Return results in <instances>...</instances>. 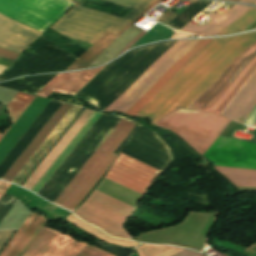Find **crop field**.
<instances>
[{"instance_id": "crop-field-30", "label": "crop field", "mask_w": 256, "mask_h": 256, "mask_svg": "<svg viewBox=\"0 0 256 256\" xmlns=\"http://www.w3.org/2000/svg\"><path fill=\"white\" fill-rule=\"evenodd\" d=\"M17 55H18V53H15V52H12V51L5 50V49H1V48H0V56H2V57L15 60V58L17 57Z\"/></svg>"}, {"instance_id": "crop-field-13", "label": "crop field", "mask_w": 256, "mask_h": 256, "mask_svg": "<svg viewBox=\"0 0 256 256\" xmlns=\"http://www.w3.org/2000/svg\"><path fill=\"white\" fill-rule=\"evenodd\" d=\"M82 106L73 105L64 118L59 122L43 144L38 148L22 170L13 179L12 183L20 185L21 182L26 178V176L31 172L35 165L40 161V159L45 155L49 148L54 144L58 137L63 133V131L68 127L72 120L77 116V114L82 110Z\"/></svg>"}, {"instance_id": "crop-field-7", "label": "crop field", "mask_w": 256, "mask_h": 256, "mask_svg": "<svg viewBox=\"0 0 256 256\" xmlns=\"http://www.w3.org/2000/svg\"><path fill=\"white\" fill-rule=\"evenodd\" d=\"M85 243L44 227L23 256H75ZM76 256H114L86 244Z\"/></svg>"}, {"instance_id": "crop-field-4", "label": "crop field", "mask_w": 256, "mask_h": 256, "mask_svg": "<svg viewBox=\"0 0 256 256\" xmlns=\"http://www.w3.org/2000/svg\"><path fill=\"white\" fill-rule=\"evenodd\" d=\"M136 122L122 118L115 129L87 160L75 178L56 199L54 204L70 211L79 205L88 192L117 158L113 153L135 127Z\"/></svg>"}, {"instance_id": "crop-field-5", "label": "crop field", "mask_w": 256, "mask_h": 256, "mask_svg": "<svg viewBox=\"0 0 256 256\" xmlns=\"http://www.w3.org/2000/svg\"><path fill=\"white\" fill-rule=\"evenodd\" d=\"M229 122L215 114L177 108L154 125L175 132L202 155Z\"/></svg>"}, {"instance_id": "crop-field-18", "label": "crop field", "mask_w": 256, "mask_h": 256, "mask_svg": "<svg viewBox=\"0 0 256 256\" xmlns=\"http://www.w3.org/2000/svg\"><path fill=\"white\" fill-rule=\"evenodd\" d=\"M256 51V43L244 52L204 93L189 109L201 111L202 108L214 97V95L225 85L231 75L242 65V63Z\"/></svg>"}, {"instance_id": "crop-field-37", "label": "crop field", "mask_w": 256, "mask_h": 256, "mask_svg": "<svg viewBox=\"0 0 256 256\" xmlns=\"http://www.w3.org/2000/svg\"><path fill=\"white\" fill-rule=\"evenodd\" d=\"M254 126H256V123H255V125Z\"/></svg>"}, {"instance_id": "crop-field-6", "label": "crop field", "mask_w": 256, "mask_h": 256, "mask_svg": "<svg viewBox=\"0 0 256 256\" xmlns=\"http://www.w3.org/2000/svg\"><path fill=\"white\" fill-rule=\"evenodd\" d=\"M200 40V39H199ZM199 40L178 41L156 60L121 96L104 112L119 111L125 113L142 95L189 49Z\"/></svg>"}, {"instance_id": "crop-field-31", "label": "crop field", "mask_w": 256, "mask_h": 256, "mask_svg": "<svg viewBox=\"0 0 256 256\" xmlns=\"http://www.w3.org/2000/svg\"><path fill=\"white\" fill-rule=\"evenodd\" d=\"M9 186L10 184L0 181V198Z\"/></svg>"}, {"instance_id": "crop-field-19", "label": "crop field", "mask_w": 256, "mask_h": 256, "mask_svg": "<svg viewBox=\"0 0 256 256\" xmlns=\"http://www.w3.org/2000/svg\"><path fill=\"white\" fill-rule=\"evenodd\" d=\"M140 32L141 30L131 26L108 46L88 67L97 66L113 59L121 49Z\"/></svg>"}, {"instance_id": "crop-field-36", "label": "crop field", "mask_w": 256, "mask_h": 256, "mask_svg": "<svg viewBox=\"0 0 256 256\" xmlns=\"http://www.w3.org/2000/svg\"><path fill=\"white\" fill-rule=\"evenodd\" d=\"M229 1H233V2H236L237 0H229Z\"/></svg>"}, {"instance_id": "crop-field-28", "label": "crop field", "mask_w": 256, "mask_h": 256, "mask_svg": "<svg viewBox=\"0 0 256 256\" xmlns=\"http://www.w3.org/2000/svg\"><path fill=\"white\" fill-rule=\"evenodd\" d=\"M15 230H1L0 231V250L14 233Z\"/></svg>"}, {"instance_id": "crop-field-17", "label": "crop field", "mask_w": 256, "mask_h": 256, "mask_svg": "<svg viewBox=\"0 0 256 256\" xmlns=\"http://www.w3.org/2000/svg\"><path fill=\"white\" fill-rule=\"evenodd\" d=\"M162 0H158L148 9H146L142 14H140L137 18L131 21L126 27H124L120 32L116 35L107 32L105 33L93 46H91L73 65H71L67 70L79 69L86 67L92 60H94L108 45H110L119 35H121L127 28H129L135 21H137L143 14L153 8ZM93 62V61H92ZM91 62V63H92ZM90 63V64H91ZM89 64V65H90ZM88 65V66H89ZM87 66V67H88Z\"/></svg>"}, {"instance_id": "crop-field-12", "label": "crop field", "mask_w": 256, "mask_h": 256, "mask_svg": "<svg viewBox=\"0 0 256 256\" xmlns=\"http://www.w3.org/2000/svg\"><path fill=\"white\" fill-rule=\"evenodd\" d=\"M251 7L241 6L233 4L228 9H226L220 15L216 13L210 14L208 17L211 19L207 24L201 23L197 27L188 24L181 31L196 34L200 37L203 36H216L220 33L226 26L248 11Z\"/></svg>"}, {"instance_id": "crop-field-1", "label": "crop field", "mask_w": 256, "mask_h": 256, "mask_svg": "<svg viewBox=\"0 0 256 256\" xmlns=\"http://www.w3.org/2000/svg\"><path fill=\"white\" fill-rule=\"evenodd\" d=\"M254 42L256 32L214 39L136 115L149 118L154 124L176 107L188 109Z\"/></svg>"}, {"instance_id": "crop-field-22", "label": "crop field", "mask_w": 256, "mask_h": 256, "mask_svg": "<svg viewBox=\"0 0 256 256\" xmlns=\"http://www.w3.org/2000/svg\"><path fill=\"white\" fill-rule=\"evenodd\" d=\"M65 219L70 221L72 224L82 228L83 230L89 232L90 234H92V235H94V236H96L100 239H103L107 242H110V243H114V244H118V245H122V246H126V247H136L140 244V243H135L131 240L118 239V238L108 236L105 233H103L101 230H99L98 228L93 227V226H91L87 223H84L83 221L78 219L72 213L68 217H66Z\"/></svg>"}, {"instance_id": "crop-field-26", "label": "crop field", "mask_w": 256, "mask_h": 256, "mask_svg": "<svg viewBox=\"0 0 256 256\" xmlns=\"http://www.w3.org/2000/svg\"><path fill=\"white\" fill-rule=\"evenodd\" d=\"M254 56H256V52L233 74V76L230 78V80L227 82V84L224 86V88L212 99V101L202 111H204V112L209 111V109L214 105V103L219 99V97L229 87V85L232 83V81L235 79V77L241 72V70L248 64V62Z\"/></svg>"}, {"instance_id": "crop-field-20", "label": "crop field", "mask_w": 256, "mask_h": 256, "mask_svg": "<svg viewBox=\"0 0 256 256\" xmlns=\"http://www.w3.org/2000/svg\"><path fill=\"white\" fill-rule=\"evenodd\" d=\"M237 187H256V170L213 166Z\"/></svg>"}, {"instance_id": "crop-field-32", "label": "crop field", "mask_w": 256, "mask_h": 256, "mask_svg": "<svg viewBox=\"0 0 256 256\" xmlns=\"http://www.w3.org/2000/svg\"><path fill=\"white\" fill-rule=\"evenodd\" d=\"M12 62H13V60H9V59L0 57V65H2V66L8 67Z\"/></svg>"}, {"instance_id": "crop-field-2", "label": "crop field", "mask_w": 256, "mask_h": 256, "mask_svg": "<svg viewBox=\"0 0 256 256\" xmlns=\"http://www.w3.org/2000/svg\"><path fill=\"white\" fill-rule=\"evenodd\" d=\"M74 4L66 0H0V13L41 33ZM0 14V47L22 53L41 33Z\"/></svg>"}, {"instance_id": "crop-field-23", "label": "crop field", "mask_w": 256, "mask_h": 256, "mask_svg": "<svg viewBox=\"0 0 256 256\" xmlns=\"http://www.w3.org/2000/svg\"><path fill=\"white\" fill-rule=\"evenodd\" d=\"M34 97L35 96L18 92L16 96L10 101V103L7 105V108L12 125L19 118V116L26 109V107L30 104V102L34 99ZM11 126L8 129H6L3 133L6 134L7 131L11 128Z\"/></svg>"}, {"instance_id": "crop-field-33", "label": "crop field", "mask_w": 256, "mask_h": 256, "mask_svg": "<svg viewBox=\"0 0 256 256\" xmlns=\"http://www.w3.org/2000/svg\"><path fill=\"white\" fill-rule=\"evenodd\" d=\"M186 36V34L176 32L171 38H186Z\"/></svg>"}, {"instance_id": "crop-field-29", "label": "crop field", "mask_w": 256, "mask_h": 256, "mask_svg": "<svg viewBox=\"0 0 256 256\" xmlns=\"http://www.w3.org/2000/svg\"><path fill=\"white\" fill-rule=\"evenodd\" d=\"M256 73V69L254 70V72L249 76V78L245 81V83L242 85V87L238 90V92L233 96V98L228 102V104L225 106V108L223 109L222 113L220 114L221 116L224 115V113L227 111V109L230 107V105L232 104V102L235 100V98L238 96V94L241 92V90L244 88V86L249 82V80L254 76V74Z\"/></svg>"}, {"instance_id": "crop-field-10", "label": "crop field", "mask_w": 256, "mask_h": 256, "mask_svg": "<svg viewBox=\"0 0 256 256\" xmlns=\"http://www.w3.org/2000/svg\"><path fill=\"white\" fill-rule=\"evenodd\" d=\"M45 225L44 216L32 211L0 256H22Z\"/></svg>"}, {"instance_id": "crop-field-21", "label": "crop field", "mask_w": 256, "mask_h": 256, "mask_svg": "<svg viewBox=\"0 0 256 256\" xmlns=\"http://www.w3.org/2000/svg\"><path fill=\"white\" fill-rule=\"evenodd\" d=\"M182 250L184 249H180L172 246H157V245H147V244H143L142 246L136 248V251L139 256H171ZM173 256H203V255L194 251L184 250Z\"/></svg>"}, {"instance_id": "crop-field-24", "label": "crop field", "mask_w": 256, "mask_h": 256, "mask_svg": "<svg viewBox=\"0 0 256 256\" xmlns=\"http://www.w3.org/2000/svg\"><path fill=\"white\" fill-rule=\"evenodd\" d=\"M256 22V9L252 8L228 27H226L219 35H228L232 33H236L243 29L240 32L245 31L249 28L253 23Z\"/></svg>"}, {"instance_id": "crop-field-35", "label": "crop field", "mask_w": 256, "mask_h": 256, "mask_svg": "<svg viewBox=\"0 0 256 256\" xmlns=\"http://www.w3.org/2000/svg\"><path fill=\"white\" fill-rule=\"evenodd\" d=\"M4 135H2L1 133H0V140H1V138L3 137Z\"/></svg>"}, {"instance_id": "crop-field-9", "label": "crop field", "mask_w": 256, "mask_h": 256, "mask_svg": "<svg viewBox=\"0 0 256 256\" xmlns=\"http://www.w3.org/2000/svg\"><path fill=\"white\" fill-rule=\"evenodd\" d=\"M119 154L106 177L144 195L160 172L121 153Z\"/></svg>"}, {"instance_id": "crop-field-3", "label": "crop field", "mask_w": 256, "mask_h": 256, "mask_svg": "<svg viewBox=\"0 0 256 256\" xmlns=\"http://www.w3.org/2000/svg\"><path fill=\"white\" fill-rule=\"evenodd\" d=\"M134 8L123 19L74 5L50 29L60 35L94 44L106 31L117 33L157 0H107Z\"/></svg>"}, {"instance_id": "crop-field-15", "label": "crop field", "mask_w": 256, "mask_h": 256, "mask_svg": "<svg viewBox=\"0 0 256 256\" xmlns=\"http://www.w3.org/2000/svg\"><path fill=\"white\" fill-rule=\"evenodd\" d=\"M212 39H204L198 42L188 51L176 64H174L165 75L130 109L126 114L135 115L144 105H146L163 87V85L190 59L200 52Z\"/></svg>"}, {"instance_id": "crop-field-27", "label": "crop field", "mask_w": 256, "mask_h": 256, "mask_svg": "<svg viewBox=\"0 0 256 256\" xmlns=\"http://www.w3.org/2000/svg\"><path fill=\"white\" fill-rule=\"evenodd\" d=\"M256 68V63L247 71V73L243 76V78L240 80V82L237 84V86L233 89V91L228 95V97L224 100V102L221 104L219 109L215 112V114H218L222 111L224 106L227 104V102L230 100V98L234 95V93L237 91V89L243 84V82L248 78V76L253 72V70Z\"/></svg>"}, {"instance_id": "crop-field-34", "label": "crop field", "mask_w": 256, "mask_h": 256, "mask_svg": "<svg viewBox=\"0 0 256 256\" xmlns=\"http://www.w3.org/2000/svg\"><path fill=\"white\" fill-rule=\"evenodd\" d=\"M238 2L251 3L254 4L256 0H239Z\"/></svg>"}, {"instance_id": "crop-field-8", "label": "crop field", "mask_w": 256, "mask_h": 256, "mask_svg": "<svg viewBox=\"0 0 256 256\" xmlns=\"http://www.w3.org/2000/svg\"><path fill=\"white\" fill-rule=\"evenodd\" d=\"M203 156L218 166L256 169V144L249 142L219 136Z\"/></svg>"}, {"instance_id": "crop-field-11", "label": "crop field", "mask_w": 256, "mask_h": 256, "mask_svg": "<svg viewBox=\"0 0 256 256\" xmlns=\"http://www.w3.org/2000/svg\"><path fill=\"white\" fill-rule=\"evenodd\" d=\"M106 66V65H105ZM105 66L89 71L57 74L47 85H45L36 95L46 97L52 92L65 94L84 76L72 89L66 94L75 95L84 87L99 71Z\"/></svg>"}, {"instance_id": "crop-field-16", "label": "crop field", "mask_w": 256, "mask_h": 256, "mask_svg": "<svg viewBox=\"0 0 256 256\" xmlns=\"http://www.w3.org/2000/svg\"><path fill=\"white\" fill-rule=\"evenodd\" d=\"M256 104V74L245 86L231 107L225 113V117L244 123L248 114Z\"/></svg>"}, {"instance_id": "crop-field-25", "label": "crop field", "mask_w": 256, "mask_h": 256, "mask_svg": "<svg viewBox=\"0 0 256 256\" xmlns=\"http://www.w3.org/2000/svg\"><path fill=\"white\" fill-rule=\"evenodd\" d=\"M256 62V57H254L249 64L242 70V72L237 76L232 85L226 90V92L221 96V98L216 102V104L211 108L209 112L214 113L216 109L220 106L226 96L231 92V90L235 87L238 81L242 78V76L246 73V71Z\"/></svg>"}, {"instance_id": "crop-field-14", "label": "crop field", "mask_w": 256, "mask_h": 256, "mask_svg": "<svg viewBox=\"0 0 256 256\" xmlns=\"http://www.w3.org/2000/svg\"><path fill=\"white\" fill-rule=\"evenodd\" d=\"M72 105L63 103L53 117L48 121L44 128L39 132L35 139L30 143L26 150L21 154L17 161L12 165L8 172L3 176L2 180L11 182L20 169L25 165L41 143L46 139L62 117L67 113Z\"/></svg>"}]
</instances>
